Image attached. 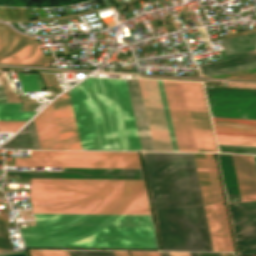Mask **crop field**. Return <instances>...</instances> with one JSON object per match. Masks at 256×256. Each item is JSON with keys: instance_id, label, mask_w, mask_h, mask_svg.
Instances as JSON below:
<instances>
[{"instance_id": "obj_1", "label": "crop field", "mask_w": 256, "mask_h": 256, "mask_svg": "<svg viewBox=\"0 0 256 256\" xmlns=\"http://www.w3.org/2000/svg\"><path fill=\"white\" fill-rule=\"evenodd\" d=\"M34 213L150 215L143 180L31 179ZM34 214L25 247L157 249L151 216Z\"/></svg>"}, {"instance_id": "obj_2", "label": "crop field", "mask_w": 256, "mask_h": 256, "mask_svg": "<svg viewBox=\"0 0 256 256\" xmlns=\"http://www.w3.org/2000/svg\"><path fill=\"white\" fill-rule=\"evenodd\" d=\"M143 154L163 250L213 251L192 153Z\"/></svg>"}, {"instance_id": "obj_3", "label": "crop field", "mask_w": 256, "mask_h": 256, "mask_svg": "<svg viewBox=\"0 0 256 256\" xmlns=\"http://www.w3.org/2000/svg\"><path fill=\"white\" fill-rule=\"evenodd\" d=\"M68 92L82 150L141 151L125 80L88 77Z\"/></svg>"}, {"instance_id": "obj_4", "label": "crop field", "mask_w": 256, "mask_h": 256, "mask_svg": "<svg viewBox=\"0 0 256 256\" xmlns=\"http://www.w3.org/2000/svg\"><path fill=\"white\" fill-rule=\"evenodd\" d=\"M19 167L141 168L137 152L31 151L15 158Z\"/></svg>"}, {"instance_id": "obj_5", "label": "crop field", "mask_w": 256, "mask_h": 256, "mask_svg": "<svg viewBox=\"0 0 256 256\" xmlns=\"http://www.w3.org/2000/svg\"><path fill=\"white\" fill-rule=\"evenodd\" d=\"M212 117L256 120V89L205 86Z\"/></svg>"}, {"instance_id": "obj_6", "label": "crop field", "mask_w": 256, "mask_h": 256, "mask_svg": "<svg viewBox=\"0 0 256 256\" xmlns=\"http://www.w3.org/2000/svg\"><path fill=\"white\" fill-rule=\"evenodd\" d=\"M0 62L47 65L36 38L19 35L0 24Z\"/></svg>"}, {"instance_id": "obj_7", "label": "crop field", "mask_w": 256, "mask_h": 256, "mask_svg": "<svg viewBox=\"0 0 256 256\" xmlns=\"http://www.w3.org/2000/svg\"><path fill=\"white\" fill-rule=\"evenodd\" d=\"M155 151H172L156 80L138 79Z\"/></svg>"}, {"instance_id": "obj_8", "label": "crop field", "mask_w": 256, "mask_h": 256, "mask_svg": "<svg viewBox=\"0 0 256 256\" xmlns=\"http://www.w3.org/2000/svg\"><path fill=\"white\" fill-rule=\"evenodd\" d=\"M198 151L216 152L200 83L182 82Z\"/></svg>"}, {"instance_id": "obj_9", "label": "crop field", "mask_w": 256, "mask_h": 256, "mask_svg": "<svg viewBox=\"0 0 256 256\" xmlns=\"http://www.w3.org/2000/svg\"><path fill=\"white\" fill-rule=\"evenodd\" d=\"M238 254H256V202L228 204Z\"/></svg>"}, {"instance_id": "obj_10", "label": "crop field", "mask_w": 256, "mask_h": 256, "mask_svg": "<svg viewBox=\"0 0 256 256\" xmlns=\"http://www.w3.org/2000/svg\"><path fill=\"white\" fill-rule=\"evenodd\" d=\"M214 251H224L203 153H193Z\"/></svg>"}, {"instance_id": "obj_11", "label": "crop field", "mask_w": 256, "mask_h": 256, "mask_svg": "<svg viewBox=\"0 0 256 256\" xmlns=\"http://www.w3.org/2000/svg\"><path fill=\"white\" fill-rule=\"evenodd\" d=\"M63 149L81 150L68 93L52 102Z\"/></svg>"}, {"instance_id": "obj_12", "label": "crop field", "mask_w": 256, "mask_h": 256, "mask_svg": "<svg viewBox=\"0 0 256 256\" xmlns=\"http://www.w3.org/2000/svg\"><path fill=\"white\" fill-rule=\"evenodd\" d=\"M225 251H234L212 154L204 153Z\"/></svg>"}, {"instance_id": "obj_13", "label": "crop field", "mask_w": 256, "mask_h": 256, "mask_svg": "<svg viewBox=\"0 0 256 256\" xmlns=\"http://www.w3.org/2000/svg\"><path fill=\"white\" fill-rule=\"evenodd\" d=\"M242 201L256 200V156L232 155Z\"/></svg>"}, {"instance_id": "obj_14", "label": "crop field", "mask_w": 256, "mask_h": 256, "mask_svg": "<svg viewBox=\"0 0 256 256\" xmlns=\"http://www.w3.org/2000/svg\"><path fill=\"white\" fill-rule=\"evenodd\" d=\"M41 149H62L52 105H48L35 118Z\"/></svg>"}, {"instance_id": "obj_15", "label": "crop field", "mask_w": 256, "mask_h": 256, "mask_svg": "<svg viewBox=\"0 0 256 256\" xmlns=\"http://www.w3.org/2000/svg\"><path fill=\"white\" fill-rule=\"evenodd\" d=\"M6 174H17V177L143 179L142 173L6 172Z\"/></svg>"}, {"instance_id": "obj_16", "label": "crop field", "mask_w": 256, "mask_h": 256, "mask_svg": "<svg viewBox=\"0 0 256 256\" xmlns=\"http://www.w3.org/2000/svg\"><path fill=\"white\" fill-rule=\"evenodd\" d=\"M217 156L227 202L241 201L231 155Z\"/></svg>"}, {"instance_id": "obj_17", "label": "crop field", "mask_w": 256, "mask_h": 256, "mask_svg": "<svg viewBox=\"0 0 256 256\" xmlns=\"http://www.w3.org/2000/svg\"><path fill=\"white\" fill-rule=\"evenodd\" d=\"M216 134L256 136V121L212 118Z\"/></svg>"}, {"instance_id": "obj_18", "label": "crop field", "mask_w": 256, "mask_h": 256, "mask_svg": "<svg viewBox=\"0 0 256 256\" xmlns=\"http://www.w3.org/2000/svg\"><path fill=\"white\" fill-rule=\"evenodd\" d=\"M2 148H23V149H40L38 138L35 130L34 121L32 120L16 136L2 144Z\"/></svg>"}, {"instance_id": "obj_19", "label": "crop field", "mask_w": 256, "mask_h": 256, "mask_svg": "<svg viewBox=\"0 0 256 256\" xmlns=\"http://www.w3.org/2000/svg\"><path fill=\"white\" fill-rule=\"evenodd\" d=\"M226 55L256 49V33L220 40Z\"/></svg>"}, {"instance_id": "obj_20", "label": "crop field", "mask_w": 256, "mask_h": 256, "mask_svg": "<svg viewBox=\"0 0 256 256\" xmlns=\"http://www.w3.org/2000/svg\"><path fill=\"white\" fill-rule=\"evenodd\" d=\"M22 104L0 103V120H28L36 112H21Z\"/></svg>"}, {"instance_id": "obj_21", "label": "crop field", "mask_w": 256, "mask_h": 256, "mask_svg": "<svg viewBox=\"0 0 256 256\" xmlns=\"http://www.w3.org/2000/svg\"><path fill=\"white\" fill-rule=\"evenodd\" d=\"M218 144L256 146V137L216 135Z\"/></svg>"}, {"instance_id": "obj_22", "label": "crop field", "mask_w": 256, "mask_h": 256, "mask_svg": "<svg viewBox=\"0 0 256 256\" xmlns=\"http://www.w3.org/2000/svg\"><path fill=\"white\" fill-rule=\"evenodd\" d=\"M255 61H256V56H251V57L239 58V59L228 60V61H223V62L200 65V66H198V68H199V71H203V70L221 68V67L255 62Z\"/></svg>"}, {"instance_id": "obj_23", "label": "crop field", "mask_w": 256, "mask_h": 256, "mask_svg": "<svg viewBox=\"0 0 256 256\" xmlns=\"http://www.w3.org/2000/svg\"><path fill=\"white\" fill-rule=\"evenodd\" d=\"M157 82H158V86H159V91H160V95H161V100H162V104H163V109H164V113H165V118H166V122H167V127H168V131H169L172 149H173V151H178L172 124H171V120H170V115H169V111H168V107H167V103H166V99H165L162 82H161V80H157Z\"/></svg>"}, {"instance_id": "obj_24", "label": "crop field", "mask_w": 256, "mask_h": 256, "mask_svg": "<svg viewBox=\"0 0 256 256\" xmlns=\"http://www.w3.org/2000/svg\"><path fill=\"white\" fill-rule=\"evenodd\" d=\"M255 67H256V62L255 63L238 65V66L226 67V68H221V69L203 71L201 73L204 76H210V75H216V74L227 73V72L238 71V70H244V69L255 68Z\"/></svg>"}, {"instance_id": "obj_25", "label": "crop field", "mask_w": 256, "mask_h": 256, "mask_svg": "<svg viewBox=\"0 0 256 256\" xmlns=\"http://www.w3.org/2000/svg\"><path fill=\"white\" fill-rule=\"evenodd\" d=\"M220 152L256 154V147L218 145Z\"/></svg>"}, {"instance_id": "obj_26", "label": "crop field", "mask_w": 256, "mask_h": 256, "mask_svg": "<svg viewBox=\"0 0 256 256\" xmlns=\"http://www.w3.org/2000/svg\"><path fill=\"white\" fill-rule=\"evenodd\" d=\"M26 121H0V132H15Z\"/></svg>"}, {"instance_id": "obj_27", "label": "crop field", "mask_w": 256, "mask_h": 256, "mask_svg": "<svg viewBox=\"0 0 256 256\" xmlns=\"http://www.w3.org/2000/svg\"><path fill=\"white\" fill-rule=\"evenodd\" d=\"M65 171L142 172L141 169H83V168H66Z\"/></svg>"}, {"instance_id": "obj_28", "label": "crop field", "mask_w": 256, "mask_h": 256, "mask_svg": "<svg viewBox=\"0 0 256 256\" xmlns=\"http://www.w3.org/2000/svg\"><path fill=\"white\" fill-rule=\"evenodd\" d=\"M75 256H114L112 252L73 251Z\"/></svg>"}, {"instance_id": "obj_29", "label": "crop field", "mask_w": 256, "mask_h": 256, "mask_svg": "<svg viewBox=\"0 0 256 256\" xmlns=\"http://www.w3.org/2000/svg\"><path fill=\"white\" fill-rule=\"evenodd\" d=\"M133 256H160L158 252H131Z\"/></svg>"}, {"instance_id": "obj_30", "label": "crop field", "mask_w": 256, "mask_h": 256, "mask_svg": "<svg viewBox=\"0 0 256 256\" xmlns=\"http://www.w3.org/2000/svg\"><path fill=\"white\" fill-rule=\"evenodd\" d=\"M190 256H221L220 253H189Z\"/></svg>"}, {"instance_id": "obj_31", "label": "crop field", "mask_w": 256, "mask_h": 256, "mask_svg": "<svg viewBox=\"0 0 256 256\" xmlns=\"http://www.w3.org/2000/svg\"><path fill=\"white\" fill-rule=\"evenodd\" d=\"M31 256H42L40 250H28Z\"/></svg>"}, {"instance_id": "obj_32", "label": "crop field", "mask_w": 256, "mask_h": 256, "mask_svg": "<svg viewBox=\"0 0 256 256\" xmlns=\"http://www.w3.org/2000/svg\"><path fill=\"white\" fill-rule=\"evenodd\" d=\"M0 102H8L1 87H0Z\"/></svg>"}, {"instance_id": "obj_33", "label": "crop field", "mask_w": 256, "mask_h": 256, "mask_svg": "<svg viewBox=\"0 0 256 256\" xmlns=\"http://www.w3.org/2000/svg\"><path fill=\"white\" fill-rule=\"evenodd\" d=\"M44 256H54L52 251L41 250ZM42 255V256H43Z\"/></svg>"}, {"instance_id": "obj_34", "label": "crop field", "mask_w": 256, "mask_h": 256, "mask_svg": "<svg viewBox=\"0 0 256 256\" xmlns=\"http://www.w3.org/2000/svg\"><path fill=\"white\" fill-rule=\"evenodd\" d=\"M115 256H129L127 252H113Z\"/></svg>"}, {"instance_id": "obj_35", "label": "crop field", "mask_w": 256, "mask_h": 256, "mask_svg": "<svg viewBox=\"0 0 256 256\" xmlns=\"http://www.w3.org/2000/svg\"><path fill=\"white\" fill-rule=\"evenodd\" d=\"M55 256H64L62 251H53Z\"/></svg>"}, {"instance_id": "obj_36", "label": "crop field", "mask_w": 256, "mask_h": 256, "mask_svg": "<svg viewBox=\"0 0 256 256\" xmlns=\"http://www.w3.org/2000/svg\"><path fill=\"white\" fill-rule=\"evenodd\" d=\"M65 256H69L68 252L67 251H63Z\"/></svg>"}, {"instance_id": "obj_37", "label": "crop field", "mask_w": 256, "mask_h": 256, "mask_svg": "<svg viewBox=\"0 0 256 256\" xmlns=\"http://www.w3.org/2000/svg\"><path fill=\"white\" fill-rule=\"evenodd\" d=\"M70 256H74L73 252L72 251H68Z\"/></svg>"}]
</instances>
